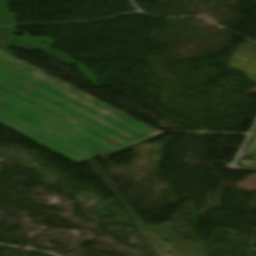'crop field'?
<instances>
[{"instance_id":"8a807250","label":"crop field","mask_w":256,"mask_h":256,"mask_svg":"<svg viewBox=\"0 0 256 256\" xmlns=\"http://www.w3.org/2000/svg\"><path fill=\"white\" fill-rule=\"evenodd\" d=\"M0 123L77 163L117 152L155 131L1 51Z\"/></svg>"},{"instance_id":"ac0d7876","label":"crop field","mask_w":256,"mask_h":256,"mask_svg":"<svg viewBox=\"0 0 256 256\" xmlns=\"http://www.w3.org/2000/svg\"><path fill=\"white\" fill-rule=\"evenodd\" d=\"M246 150H252L254 153L252 159H256V130H255Z\"/></svg>"}]
</instances>
